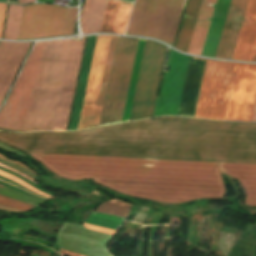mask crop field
<instances>
[{"label":"crop field","instance_id":"obj_1","mask_svg":"<svg viewBox=\"0 0 256 256\" xmlns=\"http://www.w3.org/2000/svg\"><path fill=\"white\" fill-rule=\"evenodd\" d=\"M27 153L256 163V124L156 118L83 132L0 133Z\"/></svg>","mask_w":256,"mask_h":256},{"label":"crop field","instance_id":"obj_2","mask_svg":"<svg viewBox=\"0 0 256 256\" xmlns=\"http://www.w3.org/2000/svg\"><path fill=\"white\" fill-rule=\"evenodd\" d=\"M56 175L94 182L131 196L179 203L196 198H222L220 172L239 180L245 205L256 206V165L141 158L30 154Z\"/></svg>","mask_w":256,"mask_h":256},{"label":"crop field","instance_id":"obj_3","mask_svg":"<svg viewBox=\"0 0 256 256\" xmlns=\"http://www.w3.org/2000/svg\"><path fill=\"white\" fill-rule=\"evenodd\" d=\"M97 36L89 37L69 131L77 130ZM110 36H98L79 129L100 124L103 106L95 105ZM117 37L111 36L96 104L103 105ZM138 39L118 37L101 124L122 120Z\"/></svg>","mask_w":256,"mask_h":256},{"label":"crop field","instance_id":"obj_4","mask_svg":"<svg viewBox=\"0 0 256 256\" xmlns=\"http://www.w3.org/2000/svg\"><path fill=\"white\" fill-rule=\"evenodd\" d=\"M69 42L34 45L0 112V127L51 131Z\"/></svg>","mask_w":256,"mask_h":256},{"label":"crop field","instance_id":"obj_5","mask_svg":"<svg viewBox=\"0 0 256 256\" xmlns=\"http://www.w3.org/2000/svg\"><path fill=\"white\" fill-rule=\"evenodd\" d=\"M256 64L208 60L195 118L251 122Z\"/></svg>","mask_w":256,"mask_h":256},{"label":"crop field","instance_id":"obj_6","mask_svg":"<svg viewBox=\"0 0 256 256\" xmlns=\"http://www.w3.org/2000/svg\"><path fill=\"white\" fill-rule=\"evenodd\" d=\"M185 0H136L126 34L173 44Z\"/></svg>","mask_w":256,"mask_h":256},{"label":"crop field","instance_id":"obj_7","mask_svg":"<svg viewBox=\"0 0 256 256\" xmlns=\"http://www.w3.org/2000/svg\"><path fill=\"white\" fill-rule=\"evenodd\" d=\"M166 50L146 40L129 121L152 117Z\"/></svg>","mask_w":256,"mask_h":256},{"label":"crop field","instance_id":"obj_8","mask_svg":"<svg viewBox=\"0 0 256 256\" xmlns=\"http://www.w3.org/2000/svg\"><path fill=\"white\" fill-rule=\"evenodd\" d=\"M76 12L61 6H24L18 39L73 34Z\"/></svg>","mask_w":256,"mask_h":256},{"label":"crop field","instance_id":"obj_9","mask_svg":"<svg viewBox=\"0 0 256 256\" xmlns=\"http://www.w3.org/2000/svg\"><path fill=\"white\" fill-rule=\"evenodd\" d=\"M201 0H189L175 48L187 52ZM216 0H202L188 52L200 55Z\"/></svg>","mask_w":256,"mask_h":256},{"label":"crop field","instance_id":"obj_10","mask_svg":"<svg viewBox=\"0 0 256 256\" xmlns=\"http://www.w3.org/2000/svg\"><path fill=\"white\" fill-rule=\"evenodd\" d=\"M71 40L52 131H66L83 45Z\"/></svg>","mask_w":256,"mask_h":256},{"label":"crop field","instance_id":"obj_11","mask_svg":"<svg viewBox=\"0 0 256 256\" xmlns=\"http://www.w3.org/2000/svg\"><path fill=\"white\" fill-rule=\"evenodd\" d=\"M171 51H172V54L170 53L171 59L169 57L170 64L168 61L170 69H169V72H167V74L165 72L166 79L164 74L165 83L163 80L164 88L162 85L163 93L161 91L162 98L160 96L161 103L159 100L160 107L158 104L159 112L157 109V112H158L157 116H160V115H176L177 116L181 95H182V90H183V85H184L187 68L190 60V56L181 55L177 52H174L173 50ZM197 59H203V58H197Z\"/></svg>","mask_w":256,"mask_h":256},{"label":"crop field","instance_id":"obj_12","mask_svg":"<svg viewBox=\"0 0 256 256\" xmlns=\"http://www.w3.org/2000/svg\"><path fill=\"white\" fill-rule=\"evenodd\" d=\"M31 43H0V106Z\"/></svg>","mask_w":256,"mask_h":256},{"label":"crop field","instance_id":"obj_13","mask_svg":"<svg viewBox=\"0 0 256 256\" xmlns=\"http://www.w3.org/2000/svg\"><path fill=\"white\" fill-rule=\"evenodd\" d=\"M256 0H249L233 51V60L256 61Z\"/></svg>","mask_w":256,"mask_h":256},{"label":"crop field","instance_id":"obj_14","mask_svg":"<svg viewBox=\"0 0 256 256\" xmlns=\"http://www.w3.org/2000/svg\"><path fill=\"white\" fill-rule=\"evenodd\" d=\"M247 2L248 0H232L215 57L231 58Z\"/></svg>","mask_w":256,"mask_h":256},{"label":"crop field","instance_id":"obj_15","mask_svg":"<svg viewBox=\"0 0 256 256\" xmlns=\"http://www.w3.org/2000/svg\"><path fill=\"white\" fill-rule=\"evenodd\" d=\"M120 2L108 0L99 32L124 34L132 7L122 5Z\"/></svg>","mask_w":256,"mask_h":256},{"label":"crop field","instance_id":"obj_16","mask_svg":"<svg viewBox=\"0 0 256 256\" xmlns=\"http://www.w3.org/2000/svg\"><path fill=\"white\" fill-rule=\"evenodd\" d=\"M106 4L107 0H86L81 17L83 33L99 31Z\"/></svg>","mask_w":256,"mask_h":256},{"label":"crop field","instance_id":"obj_17","mask_svg":"<svg viewBox=\"0 0 256 256\" xmlns=\"http://www.w3.org/2000/svg\"><path fill=\"white\" fill-rule=\"evenodd\" d=\"M145 40L139 39L122 122L128 121Z\"/></svg>","mask_w":256,"mask_h":256},{"label":"crop field","instance_id":"obj_18","mask_svg":"<svg viewBox=\"0 0 256 256\" xmlns=\"http://www.w3.org/2000/svg\"><path fill=\"white\" fill-rule=\"evenodd\" d=\"M22 8L10 5L3 39L17 40Z\"/></svg>","mask_w":256,"mask_h":256},{"label":"crop field","instance_id":"obj_19","mask_svg":"<svg viewBox=\"0 0 256 256\" xmlns=\"http://www.w3.org/2000/svg\"><path fill=\"white\" fill-rule=\"evenodd\" d=\"M131 206V204L113 199L103 203L96 211L126 218Z\"/></svg>","mask_w":256,"mask_h":256},{"label":"crop field","instance_id":"obj_20","mask_svg":"<svg viewBox=\"0 0 256 256\" xmlns=\"http://www.w3.org/2000/svg\"><path fill=\"white\" fill-rule=\"evenodd\" d=\"M123 220L124 219L116 218V217H112V216H108L100 213H92L85 222L117 230L118 227L122 224Z\"/></svg>","mask_w":256,"mask_h":256},{"label":"crop field","instance_id":"obj_21","mask_svg":"<svg viewBox=\"0 0 256 256\" xmlns=\"http://www.w3.org/2000/svg\"><path fill=\"white\" fill-rule=\"evenodd\" d=\"M0 193L6 194V195H10V196H14V197H18V198L24 199L26 201L35 203L37 205L42 203V201H40L38 199H35L33 197H30V196H27L25 194H22L20 192L15 191V190L9 189L7 187H4L3 189L0 188Z\"/></svg>","mask_w":256,"mask_h":256},{"label":"crop field","instance_id":"obj_22","mask_svg":"<svg viewBox=\"0 0 256 256\" xmlns=\"http://www.w3.org/2000/svg\"><path fill=\"white\" fill-rule=\"evenodd\" d=\"M0 175H2V176H4V177H6V178H8V179H10V180H12V181L18 183V184H20V185H22V186H24V187H26L27 189H29V190H31V191H33V192H35V193L41 194V195H43V196H45V197H47V198H50V197H51V196H49V195H47V194H45V193H43V192H41V191H39V190L33 188V187H31V186L28 185L27 183L21 181L20 179L14 177V176H12V175H10V174H8V173H5V172L0 171Z\"/></svg>","mask_w":256,"mask_h":256},{"label":"crop field","instance_id":"obj_23","mask_svg":"<svg viewBox=\"0 0 256 256\" xmlns=\"http://www.w3.org/2000/svg\"><path fill=\"white\" fill-rule=\"evenodd\" d=\"M0 204L7 206V207L14 208V209L22 210V211H28V210L32 209V207H29V206H26L21 203L11 201V200H8L5 198H1V197H0Z\"/></svg>","mask_w":256,"mask_h":256},{"label":"crop field","instance_id":"obj_24","mask_svg":"<svg viewBox=\"0 0 256 256\" xmlns=\"http://www.w3.org/2000/svg\"><path fill=\"white\" fill-rule=\"evenodd\" d=\"M86 228L88 229H92V230H96V231H100L103 233H107V234H114V230H110V229H106V228H102V227H98V226H94V225H90V224H86V223H82Z\"/></svg>","mask_w":256,"mask_h":256},{"label":"crop field","instance_id":"obj_25","mask_svg":"<svg viewBox=\"0 0 256 256\" xmlns=\"http://www.w3.org/2000/svg\"><path fill=\"white\" fill-rule=\"evenodd\" d=\"M6 6H7V4H0V39H1V36H2Z\"/></svg>","mask_w":256,"mask_h":256},{"label":"crop field","instance_id":"obj_26","mask_svg":"<svg viewBox=\"0 0 256 256\" xmlns=\"http://www.w3.org/2000/svg\"><path fill=\"white\" fill-rule=\"evenodd\" d=\"M0 167H3V168L8 169V170H10V171H13V172H15V173H17V174H19V175H21V176H23V177L27 178L28 180H30V181H32L33 183H35V184H36V181H34L33 179H31V178H29V177H27V176H25V175H23V174H21V173H18L19 171H18V172H16L17 170H16V171H14L15 169H14V170H12V169H10V168H8V167H6V166H4V165H1V164H0Z\"/></svg>","mask_w":256,"mask_h":256},{"label":"crop field","instance_id":"obj_27","mask_svg":"<svg viewBox=\"0 0 256 256\" xmlns=\"http://www.w3.org/2000/svg\"><path fill=\"white\" fill-rule=\"evenodd\" d=\"M61 253L66 255V256H82V255L72 253V252H69V251H66V250H62V249H61Z\"/></svg>","mask_w":256,"mask_h":256},{"label":"crop field","instance_id":"obj_28","mask_svg":"<svg viewBox=\"0 0 256 256\" xmlns=\"http://www.w3.org/2000/svg\"><path fill=\"white\" fill-rule=\"evenodd\" d=\"M35 2V0H18V4H27Z\"/></svg>","mask_w":256,"mask_h":256},{"label":"crop field","instance_id":"obj_29","mask_svg":"<svg viewBox=\"0 0 256 256\" xmlns=\"http://www.w3.org/2000/svg\"><path fill=\"white\" fill-rule=\"evenodd\" d=\"M0 209L11 210V211H15V212H22V211L14 210V209L7 208V207L1 206V205H0Z\"/></svg>","mask_w":256,"mask_h":256},{"label":"crop field","instance_id":"obj_30","mask_svg":"<svg viewBox=\"0 0 256 256\" xmlns=\"http://www.w3.org/2000/svg\"><path fill=\"white\" fill-rule=\"evenodd\" d=\"M0 157L1 158H3V159H5V157H3V156H1L0 155ZM6 160V159H5ZM11 162V161H10ZM13 163H15V164H18V165H20V166H22V167H24V168H26L25 166H23L22 164H20V163H18V162H13ZM26 169H28V168H26ZM29 170V169H28ZM29 171H31V170H29ZM32 172V171H31ZM33 174H35L34 172H32ZM36 175V174H35Z\"/></svg>","mask_w":256,"mask_h":256},{"label":"crop field","instance_id":"obj_31","mask_svg":"<svg viewBox=\"0 0 256 256\" xmlns=\"http://www.w3.org/2000/svg\"><path fill=\"white\" fill-rule=\"evenodd\" d=\"M252 122H256V106H255V110H254V115H253V120Z\"/></svg>","mask_w":256,"mask_h":256},{"label":"crop field","instance_id":"obj_32","mask_svg":"<svg viewBox=\"0 0 256 256\" xmlns=\"http://www.w3.org/2000/svg\"><path fill=\"white\" fill-rule=\"evenodd\" d=\"M3 195V194H2ZM6 196V195H5ZM8 197H10V196H8ZM11 198H14V197H11ZM14 199H17V200H20V199H18V198H14ZM20 201H23V200H20ZM23 202H25V201H23ZM25 203H27V202H25ZM29 204V203H28ZM32 205V204H31ZM34 206H36V205H34Z\"/></svg>","mask_w":256,"mask_h":256},{"label":"crop field","instance_id":"obj_33","mask_svg":"<svg viewBox=\"0 0 256 256\" xmlns=\"http://www.w3.org/2000/svg\"><path fill=\"white\" fill-rule=\"evenodd\" d=\"M0 196H2V195H0ZM2 197H5V196H2ZM5 198H8V197H5ZM8 199H11V198H8ZM12 200H14V199H12ZM16 201V200H15ZM19 202V201H18ZM22 203V202H21ZM23 204H25V203H23ZM26 205H28V204H26ZM29 206H31V205H29ZM32 207H34V206H32Z\"/></svg>","mask_w":256,"mask_h":256},{"label":"crop field","instance_id":"obj_34","mask_svg":"<svg viewBox=\"0 0 256 256\" xmlns=\"http://www.w3.org/2000/svg\"><path fill=\"white\" fill-rule=\"evenodd\" d=\"M2 181V180H1ZM7 183V182H6ZM9 184V183H8ZM12 185V184H11ZM14 186V185H13ZM16 187V186H15ZM21 189V188H20ZM23 190V189H22ZM28 192V191H27ZM30 193V192H29ZM32 194V193H31ZM35 195V194H34ZM37 196V195H36ZM39 197V196H38ZM42 198V197H41ZM44 199V198H43ZM46 200V199H45Z\"/></svg>","mask_w":256,"mask_h":256},{"label":"crop field","instance_id":"obj_35","mask_svg":"<svg viewBox=\"0 0 256 256\" xmlns=\"http://www.w3.org/2000/svg\"><path fill=\"white\" fill-rule=\"evenodd\" d=\"M2 188V186H0Z\"/></svg>","mask_w":256,"mask_h":256}]
</instances>
